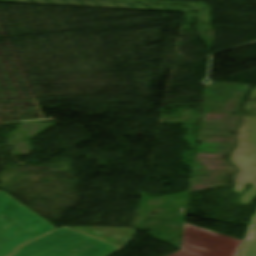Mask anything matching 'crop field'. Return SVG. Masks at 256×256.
Wrapping results in <instances>:
<instances>
[{"instance_id": "8a807250", "label": "crop field", "mask_w": 256, "mask_h": 256, "mask_svg": "<svg viewBox=\"0 0 256 256\" xmlns=\"http://www.w3.org/2000/svg\"><path fill=\"white\" fill-rule=\"evenodd\" d=\"M73 228L106 242L69 229ZM62 227L23 247L12 256H108L136 234L132 228Z\"/></svg>"}, {"instance_id": "ac0d7876", "label": "crop field", "mask_w": 256, "mask_h": 256, "mask_svg": "<svg viewBox=\"0 0 256 256\" xmlns=\"http://www.w3.org/2000/svg\"><path fill=\"white\" fill-rule=\"evenodd\" d=\"M3 192L0 191V256H8L18 246L55 228Z\"/></svg>"}, {"instance_id": "34b2d1b8", "label": "crop field", "mask_w": 256, "mask_h": 256, "mask_svg": "<svg viewBox=\"0 0 256 256\" xmlns=\"http://www.w3.org/2000/svg\"><path fill=\"white\" fill-rule=\"evenodd\" d=\"M240 241L185 223L182 251L170 256H237Z\"/></svg>"}, {"instance_id": "412701ff", "label": "crop field", "mask_w": 256, "mask_h": 256, "mask_svg": "<svg viewBox=\"0 0 256 256\" xmlns=\"http://www.w3.org/2000/svg\"><path fill=\"white\" fill-rule=\"evenodd\" d=\"M240 256H256V227L250 229Z\"/></svg>"}, {"instance_id": "f4fd0767", "label": "crop field", "mask_w": 256, "mask_h": 256, "mask_svg": "<svg viewBox=\"0 0 256 256\" xmlns=\"http://www.w3.org/2000/svg\"><path fill=\"white\" fill-rule=\"evenodd\" d=\"M251 224H256V215L251 218Z\"/></svg>"}]
</instances>
